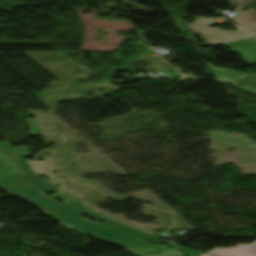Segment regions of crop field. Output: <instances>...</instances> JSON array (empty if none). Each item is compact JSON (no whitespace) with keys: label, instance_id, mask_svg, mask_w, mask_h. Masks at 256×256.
Wrapping results in <instances>:
<instances>
[{"label":"crop field","instance_id":"crop-field-12","mask_svg":"<svg viewBox=\"0 0 256 256\" xmlns=\"http://www.w3.org/2000/svg\"><path fill=\"white\" fill-rule=\"evenodd\" d=\"M169 250L160 248L158 254L156 256H167L169 254Z\"/></svg>","mask_w":256,"mask_h":256},{"label":"crop field","instance_id":"crop-field-5","mask_svg":"<svg viewBox=\"0 0 256 256\" xmlns=\"http://www.w3.org/2000/svg\"><path fill=\"white\" fill-rule=\"evenodd\" d=\"M208 254L215 256H256V241L250 245H239L230 249L216 248Z\"/></svg>","mask_w":256,"mask_h":256},{"label":"crop field","instance_id":"crop-field-7","mask_svg":"<svg viewBox=\"0 0 256 256\" xmlns=\"http://www.w3.org/2000/svg\"><path fill=\"white\" fill-rule=\"evenodd\" d=\"M230 19L256 35V10L250 8L248 12Z\"/></svg>","mask_w":256,"mask_h":256},{"label":"crop field","instance_id":"crop-field-13","mask_svg":"<svg viewBox=\"0 0 256 256\" xmlns=\"http://www.w3.org/2000/svg\"><path fill=\"white\" fill-rule=\"evenodd\" d=\"M201 256H210V255L203 254V255H201Z\"/></svg>","mask_w":256,"mask_h":256},{"label":"crop field","instance_id":"crop-field-3","mask_svg":"<svg viewBox=\"0 0 256 256\" xmlns=\"http://www.w3.org/2000/svg\"><path fill=\"white\" fill-rule=\"evenodd\" d=\"M3 155L19 165V175L35 189L41 192H47L57 188L54 185L38 178L35 173H32L30 166L18 151L7 150L3 152Z\"/></svg>","mask_w":256,"mask_h":256},{"label":"crop field","instance_id":"crop-field-6","mask_svg":"<svg viewBox=\"0 0 256 256\" xmlns=\"http://www.w3.org/2000/svg\"><path fill=\"white\" fill-rule=\"evenodd\" d=\"M26 161L30 164L33 171L37 174V176L46 174L48 176V178L51 179L48 182H50L54 185L68 182L53 172L54 169H53V165L51 163L42 162V161H30V160H26Z\"/></svg>","mask_w":256,"mask_h":256},{"label":"crop field","instance_id":"crop-field-9","mask_svg":"<svg viewBox=\"0 0 256 256\" xmlns=\"http://www.w3.org/2000/svg\"><path fill=\"white\" fill-rule=\"evenodd\" d=\"M233 4H235L238 8L235 10L237 14L243 13L241 10L246 7L253 0H230Z\"/></svg>","mask_w":256,"mask_h":256},{"label":"crop field","instance_id":"crop-field-1","mask_svg":"<svg viewBox=\"0 0 256 256\" xmlns=\"http://www.w3.org/2000/svg\"><path fill=\"white\" fill-rule=\"evenodd\" d=\"M0 185H2L8 192L23 197L45 209L49 215L60 220L66 225L77 228L101 240L109 241L122 246L141 236L134 232L110 224H92L80 218V216L87 215L92 218L96 217L70 205L62 207L52 202V200L40 195V192L28 187L18 176L0 177ZM102 236H105V238H102Z\"/></svg>","mask_w":256,"mask_h":256},{"label":"crop field","instance_id":"crop-field-11","mask_svg":"<svg viewBox=\"0 0 256 256\" xmlns=\"http://www.w3.org/2000/svg\"><path fill=\"white\" fill-rule=\"evenodd\" d=\"M6 149H10L8 141L0 142V151L2 152ZM13 150H18L21 153L22 156H28V152H27L26 148H19V149H13Z\"/></svg>","mask_w":256,"mask_h":256},{"label":"crop field","instance_id":"crop-field-4","mask_svg":"<svg viewBox=\"0 0 256 256\" xmlns=\"http://www.w3.org/2000/svg\"><path fill=\"white\" fill-rule=\"evenodd\" d=\"M225 45L256 64V39L253 36L229 42Z\"/></svg>","mask_w":256,"mask_h":256},{"label":"crop field","instance_id":"crop-field-10","mask_svg":"<svg viewBox=\"0 0 256 256\" xmlns=\"http://www.w3.org/2000/svg\"><path fill=\"white\" fill-rule=\"evenodd\" d=\"M27 123L31 127V135H45L37 126L34 119L27 118Z\"/></svg>","mask_w":256,"mask_h":256},{"label":"crop field","instance_id":"crop-field-14","mask_svg":"<svg viewBox=\"0 0 256 256\" xmlns=\"http://www.w3.org/2000/svg\"><path fill=\"white\" fill-rule=\"evenodd\" d=\"M0 226H3L2 224H0Z\"/></svg>","mask_w":256,"mask_h":256},{"label":"crop field","instance_id":"crop-field-2","mask_svg":"<svg viewBox=\"0 0 256 256\" xmlns=\"http://www.w3.org/2000/svg\"><path fill=\"white\" fill-rule=\"evenodd\" d=\"M206 25H208V23H206L205 21H200L187 27L195 34H200L204 36L207 41L213 45L224 44L229 41L251 36L243 29L226 33L222 30L210 29L206 27Z\"/></svg>","mask_w":256,"mask_h":256},{"label":"crop field","instance_id":"crop-field-8","mask_svg":"<svg viewBox=\"0 0 256 256\" xmlns=\"http://www.w3.org/2000/svg\"><path fill=\"white\" fill-rule=\"evenodd\" d=\"M216 78L223 79L235 83L244 73L228 71V70H218L212 68V66L207 65Z\"/></svg>","mask_w":256,"mask_h":256}]
</instances>
